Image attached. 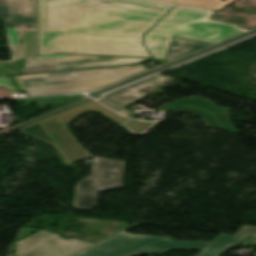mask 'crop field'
<instances>
[{
  "mask_svg": "<svg viewBox=\"0 0 256 256\" xmlns=\"http://www.w3.org/2000/svg\"><path fill=\"white\" fill-rule=\"evenodd\" d=\"M170 7L142 0H93L90 21L147 31Z\"/></svg>",
  "mask_w": 256,
  "mask_h": 256,
  "instance_id": "dd49c442",
  "label": "crop field"
},
{
  "mask_svg": "<svg viewBox=\"0 0 256 256\" xmlns=\"http://www.w3.org/2000/svg\"><path fill=\"white\" fill-rule=\"evenodd\" d=\"M124 161L95 157L92 173L77 185L74 207L96 208L98 191L122 187Z\"/></svg>",
  "mask_w": 256,
  "mask_h": 256,
  "instance_id": "d8731c3e",
  "label": "crop field"
},
{
  "mask_svg": "<svg viewBox=\"0 0 256 256\" xmlns=\"http://www.w3.org/2000/svg\"><path fill=\"white\" fill-rule=\"evenodd\" d=\"M159 110L169 112H191L206 120L211 128H223L228 132L237 133L229 123V108H221L211 101L202 98L181 99L179 101L164 105Z\"/></svg>",
  "mask_w": 256,
  "mask_h": 256,
  "instance_id": "3316defc",
  "label": "crop field"
},
{
  "mask_svg": "<svg viewBox=\"0 0 256 256\" xmlns=\"http://www.w3.org/2000/svg\"><path fill=\"white\" fill-rule=\"evenodd\" d=\"M90 111H98L121 125L127 120L103 105L91 100L19 130L22 133H26L50 145H54L64 161H76L89 158L90 156L71 135L66 125L79 115Z\"/></svg>",
  "mask_w": 256,
  "mask_h": 256,
  "instance_id": "f4fd0767",
  "label": "crop field"
},
{
  "mask_svg": "<svg viewBox=\"0 0 256 256\" xmlns=\"http://www.w3.org/2000/svg\"><path fill=\"white\" fill-rule=\"evenodd\" d=\"M4 23L12 60L22 57L24 59L11 63H0V75L131 65L149 60L144 58L70 54L37 57V28L6 20H4ZM8 64L14 67H8Z\"/></svg>",
  "mask_w": 256,
  "mask_h": 256,
  "instance_id": "ac0d7876",
  "label": "crop field"
},
{
  "mask_svg": "<svg viewBox=\"0 0 256 256\" xmlns=\"http://www.w3.org/2000/svg\"><path fill=\"white\" fill-rule=\"evenodd\" d=\"M91 4H92V0H91ZM90 12H91V7H90ZM89 18H90V15H89ZM89 22V21H88ZM92 23V22H91ZM98 24V23H97ZM104 25V24H103ZM144 32V31H143Z\"/></svg>",
  "mask_w": 256,
  "mask_h": 256,
  "instance_id": "4a817a6b",
  "label": "crop field"
},
{
  "mask_svg": "<svg viewBox=\"0 0 256 256\" xmlns=\"http://www.w3.org/2000/svg\"><path fill=\"white\" fill-rule=\"evenodd\" d=\"M147 71L144 66H122L45 74L14 76L27 96L85 92L101 88ZM0 86L15 93L7 77H0ZM8 91V92H9Z\"/></svg>",
  "mask_w": 256,
  "mask_h": 256,
  "instance_id": "412701ff",
  "label": "crop field"
},
{
  "mask_svg": "<svg viewBox=\"0 0 256 256\" xmlns=\"http://www.w3.org/2000/svg\"><path fill=\"white\" fill-rule=\"evenodd\" d=\"M153 1H159V2H165V3H180L184 5L189 6H195V7H202V8H208L211 10H222L227 4L231 3L233 0H153Z\"/></svg>",
  "mask_w": 256,
  "mask_h": 256,
  "instance_id": "5142ce71",
  "label": "crop field"
},
{
  "mask_svg": "<svg viewBox=\"0 0 256 256\" xmlns=\"http://www.w3.org/2000/svg\"><path fill=\"white\" fill-rule=\"evenodd\" d=\"M208 45L209 44H203V43L173 38L164 60L166 61L172 60L174 58L194 52Z\"/></svg>",
  "mask_w": 256,
  "mask_h": 256,
  "instance_id": "22f410ed",
  "label": "crop field"
},
{
  "mask_svg": "<svg viewBox=\"0 0 256 256\" xmlns=\"http://www.w3.org/2000/svg\"><path fill=\"white\" fill-rule=\"evenodd\" d=\"M0 17L37 27V0H0Z\"/></svg>",
  "mask_w": 256,
  "mask_h": 256,
  "instance_id": "d1516ede",
  "label": "crop field"
},
{
  "mask_svg": "<svg viewBox=\"0 0 256 256\" xmlns=\"http://www.w3.org/2000/svg\"><path fill=\"white\" fill-rule=\"evenodd\" d=\"M95 243L62 239L59 234L40 230L15 243L17 256H73Z\"/></svg>",
  "mask_w": 256,
  "mask_h": 256,
  "instance_id": "5a996713",
  "label": "crop field"
},
{
  "mask_svg": "<svg viewBox=\"0 0 256 256\" xmlns=\"http://www.w3.org/2000/svg\"><path fill=\"white\" fill-rule=\"evenodd\" d=\"M161 84H165V81L162 75L158 74L115 92L109 93L105 95V97L99 102L126 116L128 114L125 109L135 101L143 98L138 91Z\"/></svg>",
  "mask_w": 256,
  "mask_h": 256,
  "instance_id": "28ad6ade",
  "label": "crop field"
},
{
  "mask_svg": "<svg viewBox=\"0 0 256 256\" xmlns=\"http://www.w3.org/2000/svg\"><path fill=\"white\" fill-rule=\"evenodd\" d=\"M90 0H39L38 54L151 57L143 32L87 23Z\"/></svg>",
  "mask_w": 256,
  "mask_h": 256,
  "instance_id": "8a807250",
  "label": "crop field"
},
{
  "mask_svg": "<svg viewBox=\"0 0 256 256\" xmlns=\"http://www.w3.org/2000/svg\"><path fill=\"white\" fill-rule=\"evenodd\" d=\"M248 237L220 234L213 242H178L166 237L129 234L120 231L75 256L162 255L170 250H202L197 256H220Z\"/></svg>",
  "mask_w": 256,
  "mask_h": 256,
  "instance_id": "34b2d1b8",
  "label": "crop field"
},
{
  "mask_svg": "<svg viewBox=\"0 0 256 256\" xmlns=\"http://www.w3.org/2000/svg\"><path fill=\"white\" fill-rule=\"evenodd\" d=\"M157 122L158 121H153V122H150V123H145V122L129 120L124 125V127H126L132 134L143 135L150 128H152Z\"/></svg>",
  "mask_w": 256,
  "mask_h": 256,
  "instance_id": "d9b57169",
  "label": "crop field"
},
{
  "mask_svg": "<svg viewBox=\"0 0 256 256\" xmlns=\"http://www.w3.org/2000/svg\"><path fill=\"white\" fill-rule=\"evenodd\" d=\"M166 36V35H165ZM171 37V36H170Z\"/></svg>",
  "mask_w": 256,
  "mask_h": 256,
  "instance_id": "bc2a9ffb",
  "label": "crop field"
},
{
  "mask_svg": "<svg viewBox=\"0 0 256 256\" xmlns=\"http://www.w3.org/2000/svg\"><path fill=\"white\" fill-rule=\"evenodd\" d=\"M209 12L175 6L150 31L216 43L243 32L233 26L204 21Z\"/></svg>",
  "mask_w": 256,
  "mask_h": 256,
  "instance_id": "e52e79f7",
  "label": "crop field"
},
{
  "mask_svg": "<svg viewBox=\"0 0 256 256\" xmlns=\"http://www.w3.org/2000/svg\"><path fill=\"white\" fill-rule=\"evenodd\" d=\"M172 38L148 33L145 45L150 49L154 58L163 60Z\"/></svg>",
  "mask_w": 256,
  "mask_h": 256,
  "instance_id": "cbeb9de0",
  "label": "crop field"
},
{
  "mask_svg": "<svg viewBox=\"0 0 256 256\" xmlns=\"http://www.w3.org/2000/svg\"><path fill=\"white\" fill-rule=\"evenodd\" d=\"M236 234L256 237V227L243 225Z\"/></svg>",
  "mask_w": 256,
  "mask_h": 256,
  "instance_id": "733c2abd",
  "label": "crop field"
}]
</instances>
